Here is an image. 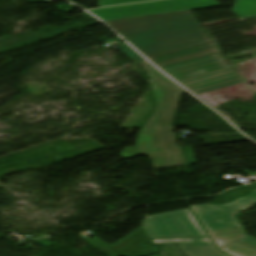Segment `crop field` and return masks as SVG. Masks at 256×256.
Instances as JSON below:
<instances>
[{
  "mask_svg": "<svg viewBox=\"0 0 256 256\" xmlns=\"http://www.w3.org/2000/svg\"><path fill=\"white\" fill-rule=\"evenodd\" d=\"M142 226L151 239L207 236L190 209L146 217Z\"/></svg>",
  "mask_w": 256,
  "mask_h": 256,
  "instance_id": "obj_4",
  "label": "crop field"
},
{
  "mask_svg": "<svg viewBox=\"0 0 256 256\" xmlns=\"http://www.w3.org/2000/svg\"><path fill=\"white\" fill-rule=\"evenodd\" d=\"M155 245L141 227L102 251L108 256H149L160 252Z\"/></svg>",
  "mask_w": 256,
  "mask_h": 256,
  "instance_id": "obj_8",
  "label": "crop field"
},
{
  "mask_svg": "<svg viewBox=\"0 0 256 256\" xmlns=\"http://www.w3.org/2000/svg\"><path fill=\"white\" fill-rule=\"evenodd\" d=\"M140 65L151 78L157 109L141 129L137 147L124 148L121 157L148 155L155 168L195 164L189 147L177 148L172 126L182 88L148 63Z\"/></svg>",
  "mask_w": 256,
  "mask_h": 256,
  "instance_id": "obj_1",
  "label": "crop field"
},
{
  "mask_svg": "<svg viewBox=\"0 0 256 256\" xmlns=\"http://www.w3.org/2000/svg\"><path fill=\"white\" fill-rule=\"evenodd\" d=\"M216 53H218L217 48L207 50V51H203V52H199V53H195V54H191V55H187V56L172 59V60H168V61H164V62H160V63H156V65L159 68H163V67L175 65V64H178V63L186 62V61H189V60L201 58V57L216 54Z\"/></svg>",
  "mask_w": 256,
  "mask_h": 256,
  "instance_id": "obj_11",
  "label": "crop field"
},
{
  "mask_svg": "<svg viewBox=\"0 0 256 256\" xmlns=\"http://www.w3.org/2000/svg\"><path fill=\"white\" fill-rule=\"evenodd\" d=\"M207 233L230 256H256V239L246 235L241 226Z\"/></svg>",
  "mask_w": 256,
  "mask_h": 256,
  "instance_id": "obj_7",
  "label": "crop field"
},
{
  "mask_svg": "<svg viewBox=\"0 0 256 256\" xmlns=\"http://www.w3.org/2000/svg\"><path fill=\"white\" fill-rule=\"evenodd\" d=\"M256 203V190L248 197L239 198L236 201L213 206L210 204L191 206L207 231H213L233 226H238L234 215L240 211L247 210Z\"/></svg>",
  "mask_w": 256,
  "mask_h": 256,
  "instance_id": "obj_6",
  "label": "crop field"
},
{
  "mask_svg": "<svg viewBox=\"0 0 256 256\" xmlns=\"http://www.w3.org/2000/svg\"><path fill=\"white\" fill-rule=\"evenodd\" d=\"M233 11L241 18L256 16V0H236Z\"/></svg>",
  "mask_w": 256,
  "mask_h": 256,
  "instance_id": "obj_10",
  "label": "crop field"
},
{
  "mask_svg": "<svg viewBox=\"0 0 256 256\" xmlns=\"http://www.w3.org/2000/svg\"><path fill=\"white\" fill-rule=\"evenodd\" d=\"M161 70L195 94L242 82L235 70L223 68L217 54Z\"/></svg>",
  "mask_w": 256,
  "mask_h": 256,
  "instance_id": "obj_3",
  "label": "crop field"
},
{
  "mask_svg": "<svg viewBox=\"0 0 256 256\" xmlns=\"http://www.w3.org/2000/svg\"><path fill=\"white\" fill-rule=\"evenodd\" d=\"M116 46L118 48H120L125 54H127L135 62H139V61L145 60L137 52H135L130 46H128L126 43L119 44V45H116Z\"/></svg>",
  "mask_w": 256,
  "mask_h": 256,
  "instance_id": "obj_13",
  "label": "crop field"
},
{
  "mask_svg": "<svg viewBox=\"0 0 256 256\" xmlns=\"http://www.w3.org/2000/svg\"><path fill=\"white\" fill-rule=\"evenodd\" d=\"M107 23L149 59L212 43L190 11Z\"/></svg>",
  "mask_w": 256,
  "mask_h": 256,
  "instance_id": "obj_2",
  "label": "crop field"
},
{
  "mask_svg": "<svg viewBox=\"0 0 256 256\" xmlns=\"http://www.w3.org/2000/svg\"><path fill=\"white\" fill-rule=\"evenodd\" d=\"M211 48H215L214 43L208 44V45H204V46H200V47L193 48V49H189V50H185V51H182V52L166 55V56H163V57L151 59V61L156 63V62H160V61H164V60H168V59L184 56V55H187V54H191V53H195V52H199V51H203V50H207V49H211Z\"/></svg>",
  "mask_w": 256,
  "mask_h": 256,
  "instance_id": "obj_12",
  "label": "crop field"
},
{
  "mask_svg": "<svg viewBox=\"0 0 256 256\" xmlns=\"http://www.w3.org/2000/svg\"><path fill=\"white\" fill-rule=\"evenodd\" d=\"M139 1H147V0H99V7L117 5V4H124V3L139 2Z\"/></svg>",
  "mask_w": 256,
  "mask_h": 256,
  "instance_id": "obj_14",
  "label": "crop field"
},
{
  "mask_svg": "<svg viewBox=\"0 0 256 256\" xmlns=\"http://www.w3.org/2000/svg\"><path fill=\"white\" fill-rule=\"evenodd\" d=\"M220 5L215 0H165L91 11L104 21Z\"/></svg>",
  "mask_w": 256,
  "mask_h": 256,
  "instance_id": "obj_5",
  "label": "crop field"
},
{
  "mask_svg": "<svg viewBox=\"0 0 256 256\" xmlns=\"http://www.w3.org/2000/svg\"><path fill=\"white\" fill-rule=\"evenodd\" d=\"M158 244L180 243L181 250L188 256H227L216 249L209 237L153 240Z\"/></svg>",
  "mask_w": 256,
  "mask_h": 256,
  "instance_id": "obj_9",
  "label": "crop field"
}]
</instances>
